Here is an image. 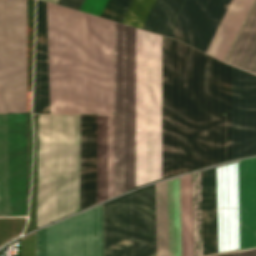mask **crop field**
I'll return each mask as SVG.
<instances>
[{
    "label": "crop field",
    "mask_w": 256,
    "mask_h": 256,
    "mask_svg": "<svg viewBox=\"0 0 256 256\" xmlns=\"http://www.w3.org/2000/svg\"><path fill=\"white\" fill-rule=\"evenodd\" d=\"M45 1H49L56 4L58 0H45ZM82 2L83 0H59L58 5L79 10Z\"/></svg>",
    "instance_id": "18"
},
{
    "label": "crop field",
    "mask_w": 256,
    "mask_h": 256,
    "mask_svg": "<svg viewBox=\"0 0 256 256\" xmlns=\"http://www.w3.org/2000/svg\"><path fill=\"white\" fill-rule=\"evenodd\" d=\"M26 218H0V245L22 233Z\"/></svg>",
    "instance_id": "16"
},
{
    "label": "crop field",
    "mask_w": 256,
    "mask_h": 256,
    "mask_svg": "<svg viewBox=\"0 0 256 256\" xmlns=\"http://www.w3.org/2000/svg\"><path fill=\"white\" fill-rule=\"evenodd\" d=\"M103 0H84L80 10L96 15ZM107 0H104L97 15L100 16ZM132 0H108L101 17L122 22ZM155 0H133L123 23L142 28Z\"/></svg>",
    "instance_id": "12"
},
{
    "label": "crop field",
    "mask_w": 256,
    "mask_h": 256,
    "mask_svg": "<svg viewBox=\"0 0 256 256\" xmlns=\"http://www.w3.org/2000/svg\"><path fill=\"white\" fill-rule=\"evenodd\" d=\"M222 253L239 249L238 161L219 166ZM218 166L202 171L205 256L221 253ZM201 171L193 173L194 256H204Z\"/></svg>",
    "instance_id": "5"
},
{
    "label": "crop field",
    "mask_w": 256,
    "mask_h": 256,
    "mask_svg": "<svg viewBox=\"0 0 256 256\" xmlns=\"http://www.w3.org/2000/svg\"><path fill=\"white\" fill-rule=\"evenodd\" d=\"M21 256H35V232L21 238Z\"/></svg>",
    "instance_id": "17"
},
{
    "label": "crop field",
    "mask_w": 256,
    "mask_h": 256,
    "mask_svg": "<svg viewBox=\"0 0 256 256\" xmlns=\"http://www.w3.org/2000/svg\"><path fill=\"white\" fill-rule=\"evenodd\" d=\"M226 62L256 73V2Z\"/></svg>",
    "instance_id": "14"
},
{
    "label": "crop field",
    "mask_w": 256,
    "mask_h": 256,
    "mask_svg": "<svg viewBox=\"0 0 256 256\" xmlns=\"http://www.w3.org/2000/svg\"><path fill=\"white\" fill-rule=\"evenodd\" d=\"M26 112L25 0H0V113ZM27 113L0 114V216H26Z\"/></svg>",
    "instance_id": "3"
},
{
    "label": "crop field",
    "mask_w": 256,
    "mask_h": 256,
    "mask_svg": "<svg viewBox=\"0 0 256 256\" xmlns=\"http://www.w3.org/2000/svg\"><path fill=\"white\" fill-rule=\"evenodd\" d=\"M229 2L184 0L167 37L180 39L205 52Z\"/></svg>",
    "instance_id": "7"
},
{
    "label": "crop field",
    "mask_w": 256,
    "mask_h": 256,
    "mask_svg": "<svg viewBox=\"0 0 256 256\" xmlns=\"http://www.w3.org/2000/svg\"><path fill=\"white\" fill-rule=\"evenodd\" d=\"M96 204V115H81V210Z\"/></svg>",
    "instance_id": "10"
},
{
    "label": "crop field",
    "mask_w": 256,
    "mask_h": 256,
    "mask_svg": "<svg viewBox=\"0 0 256 256\" xmlns=\"http://www.w3.org/2000/svg\"><path fill=\"white\" fill-rule=\"evenodd\" d=\"M33 113H50L46 2L37 0Z\"/></svg>",
    "instance_id": "9"
},
{
    "label": "crop field",
    "mask_w": 256,
    "mask_h": 256,
    "mask_svg": "<svg viewBox=\"0 0 256 256\" xmlns=\"http://www.w3.org/2000/svg\"><path fill=\"white\" fill-rule=\"evenodd\" d=\"M218 256H231V253L225 255H218ZM232 256H256V249L239 251L232 253Z\"/></svg>",
    "instance_id": "19"
},
{
    "label": "crop field",
    "mask_w": 256,
    "mask_h": 256,
    "mask_svg": "<svg viewBox=\"0 0 256 256\" xmlns=\"http://www.w3.org/2000/svg\"><path fill=\"white\" fill-rule=\"evenodd\" d=\"M80 210V115H39L38 227Z\"/></svg>",
    "instance_id": "4"
},
{
    "label": "crop field",
    "mask_w": 256,
    "mask_h": 256,
    "mask_svg": "<svg viewBox=\"0 0 256 256\" xmlns=\"http://www.w3.org/2000/svg\"><path fill=\"white\" fill-rule=\"evenodd\" d=\"M240 250L256 247V158L239 161Z\"/></svg>",
    "instance_id": "8"
},
{
    "label": "crop field",
    "mask_w": 256,
    "mask_h": 256,
    "mask_svg": "<svg viewBox=\"0 0 256 256\" xmlns=\"http://www.w3.org/2000/svg\"><path fill=\"white\" fill-rule=\"evenodd\" d=\"M157 256H193L192 173L155 184Z\"/></svg>",
    "instance_id": "6"
},
{
    "label": "crop field",
    "mask_w": 256,
    "mask_h": 256,
    "mask_svg": "<svg viewBox=\"0 0 256 256\" xmlns=\"http://www.w3.org/2000/svg\"><path fill=\"white\" fill-rule=\"evenodd\" d=\"M113 196V115H97V203Z\"/></svg>",
    "instance_id": "11"
},
{
    "label": "crop field",
    "mask_w": 256,
    "mask_h": 256,
    "mask_svg": "<svg viewBox=\"0 0 256 256\" xmlns=\"http://www.w3.org/2000/svg\"><path fill=\"white\" fill-rule=\"evenodd\" d=\"M101 205L36 232V256H100ZM101 256H156L154 184L102 205Z\"/></svg>",
    "instance_id": "2"
},
{
    "label": "crop field",
    "mask_w": 256,
    "mask_h": 256,
    "mask_svg": "<svg viewBox=\"0 0 256 256\" xmlns=\"http://www.w3.org/2000/svg\"><path fill=\"white\" fill-rule=\"evenodd\" d=\"M252 0H231L206 53L222 60Z\"/></svg>",
    "instance_id": "13"
},
{
    "label": "crop field",
    "mask_w": 256,
    "mask_h": 256,
    "mask_svg": "<svg viewBox=\"0 0 256 256\" xmlns=\"http://www.w3.org/2000/svg\"><path fill=\"white\" fill-rule=\"evenodd\" d=\"M183 0H156L143 29L166 35Z\"/></svg>",
    "instance_id": "15"
},
{
    "label": "crop field",
    "mask_w": 256,
    "mask_h": 256,
    "mask_svg": "<svg viewBox=\"0 0 256 256\" xmlns=\"http://www.w3.org/2000/svg\"><path fill=\"white\" fill-rule=\"evenodd\" d=\"M114 111L115 196L161 179V36L115 22ZM230 112L231 66L162 36V178L230 159ZM252 154L256 76L232 67L231 159Z\"/></svg>",
    "instance_id": "1"
}]
</instances>
